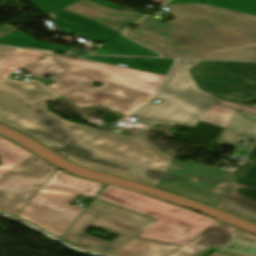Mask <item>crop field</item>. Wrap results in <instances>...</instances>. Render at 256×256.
<instances>
[{
	"mask_svg": "<svg viewBox=\"0 0 256 256\" xmlns=\"http://www.w3.org/2000/svg\"><path fill=\"white\" fill-rule=\"evenodd\" d=\"M62 97L34 79L0 83V122L89 169L156 186L174 159L147 140L146 130L111 134L60 119L45 102Z\"/></svg>",
	"mask_w": 256,
	"mask_h": 256,
	"instance_id": "8a807250",
	"label": "crop field"
},
{
	"mask_svg": "<svg viewBox=\"0 0 256 256\" xmlns=\"http://www.w3.org/2000/svg\"><path fill=\"white\" fill-rule=\"evenodd\" d=\"M180 14L148 16L124 35L168 57L256 60V16L202 4L165 5Z\"/></svg>",
	"mask_w": 256,
	"mask_h": 256,
	"instance_id": "ac0d7876",
	"label": "crop field"
},
{
	"mask_svg": "<svg viewBox=\"0 0 256 256\" xmlns=\"http://www.w3.org/2000/svg\"><path fill=\"white\" fill-rule=\"evenodd\" d=\"M52 55L67 72L55 76V83L48 86L77 107L103 105L128 116L154 98L165 78L155 73ZM92 82L104 85L98 88Z\"/></svg>",
	"mask_w": 256,
	"mask_h": 256,
	"instance_id": "34b2d1b8",
	"label": "crop field"
},
{
	"mask_svg": "<svg viewBox=\"0 0 256 256\" xmlns=\"http://www.w3.org/2000/svg\"><path fill=\"white\" fill-rule=\"evenodd\" d=\"M103 185L58 170L38 190L18 217L60 237L83 209L70 203L78 194L95 196Z\"/></svg>",
	"mask_w": 256,
	"mask_h": 256,
	"instance_id": "412701ff",
	"label": "crop field"
},
{
	"mask_svg": "<svg viewBox=\"0 0 256 256\" xmlns=\"http://www.w3.org/2000/svg\"><path fill=\"white\" fill-rule=\"evenodd\" d=\"M158 220L116 204L94 199L62 239L78 248L110 255ZM90 226L119 237L111 243L92 238L84 234Z\"/></svg>",
	"mask_w": 256,
	"mask_h": 256,
	"instance_id": "f4fd0767",
	"label": "crop field"
},
{
	"mask_svg": "<svg viewBox=\"0 0 256 256\" xmlns=\"http://www.w3.org/2000/svg\"><path fill=\"white\" fill-rule=\"evenodd\" d=\"M197 62H176L157 97L160 102L149 104L132 117L148 123L194 127L202 112L220 102L219 99L198 90L192 82L186 70Z\"/></svg>",
	"mask_w": 256,
	"mask_h": 256,
	"instance_id": "dd49c442",
	"label": "crop field"
},
{
	"mask_svg": "<svg viewBox=\"0 0 256 256\" xmlns=\"http://www.w3.org/2000/svg\"><path fill=\"white\" fill-rule=\"evenodd\" d=\"M98 198L161 219L139 234L141 237L184 244L214 222L194 212L116 187L108 186Z\"/></svg>",
	"mask_w": 256,
	"mask_h": 256,
	"instance_id": "e52e79f7",
	"label": "crop field"
},
{
	"mask_svg": "<svg viewBox=\"0 0 256 256\" xmlns=\"http://www.w3.org/2000/svg\"><path fill=\"white\" fill-rule=\"evenodd\" d=\"M40 11L50 15L53 22L60 28L62 34L68 33L80 36L89 41L102 40L106 42L105 51L98 50V54H117L131 56H159L158 54L140 46L139 44L120 36L106 26L94 22L62 9L81 0H28ZM97 4L121 10L122 7L103 0H89Z\"/></svg>",
	"mask_w": 256,
	"mask_h": 256,
	"instance_id": "d8731c3e",
	"label": "crop field"
},
{
	"mask_svg": "<svg viewBox=\"0 0 256 256\" xmlns=\"http://www.w3.org/2000/svg\"><path fill=\"white\" fill-rule=\"evenodd\" d=\"M187 71L197 88L223 101H256V63L200 61Z\"/></svg>",
	"mask_w": 256,
	"mask_h": 256,
	"instance_id": "5a996713",
	"label": "crop field"
},
{
	"mask_svg": "<svg viewBox=\"0 0 256 256\" xmlns=\"http://www.w3.org/2000/svg\"><path fill=\"white\" fill-rule=\"evenodd\" d=\"M235 171L236 168L227 171L199 165L192 161H186L183 164L175 159L158 188L176 192L215 207Z\"/></svg>",
	"mask_w": 256,
	"mask_h": 256,
	"instance_id": "3316defc",
	"label": "crop field"
},
{
	"mask_svg": "<svg viewBox=\"0 0 256 256\" xmlns=\"http://www.w3.org/2000/svg\"><path fill=\"white\" fill-rule=\"evenodd\" d=\"M56 169L29 157L0 180V211L17 216Z\"/></svg>",
	"mask_w": 256,
	"mask_h": 256,
	"instance_id": "28ad6ade",
	"label": "crop field"
},
{
	"mask_svg": "<svg viewBox=\"0 0 256 256\" xmlns=\"http://www.w3.org/2000/svg\"><path fill=\"white\" fill-rule=\"evenodd\" d=\"M216 208L256 223V145L233 177Z\"/></svg>",
	"mask_w": 256,
	"mask_h": 256,
	"instance_id": "d1516ede",
	"label": "crop field"
},
{
	"mask_svg": "<svg viewBox=\"0 0 256 256\" xmlns=\"http://www.w3.org/2000/svg\"><path fill=\"white\" fill-rule=\"evenodd\" d=\"M239 232L241 230L217 221L169 256H196L211 245L216 247L223 246L229 240L236 237Z\"/></svg>",
	"mask_w": 256,
	"mask_h": 256,
	"instance_id": "22f410ed",
	"label": "crop field"
},
{
	"mask_svg": "<svg viewBox=\"0 0 256 256\" xmlns=\"http://www.w3.org/2000/svg\"><path fill=\"white\" fill-rule=\"evenodd\" d=\"M65 10H68L70 12H73L75 14H78L80 16L86 17L91 20L98 21L102 23V21L107 22L108 24H104L118 32H122L123 30L119 31L117 30L120 25L124 22H132L135 23L139 19H141L144 15L133 11V12H127V11H115L100 5H97L95 3L89 2L87 0H83L75 5H72Z\"/></svg>",
	"mask_w": 256,
	"mask_h": 256,
	"instance_id": "cbeb9de0",
	"label": "crop field"
},
{
	"mask_svg": "<svg viewBox=\"0 0 256 256\" xmlns=\"http://www.w3.org/2000/svg\"><path fill=\"white\" fill-rule=\"evenodd\" d=\"M242 136L256 138V116L237 110L218 143L249 151L251 146H237Z\"/></svg>",
	"mask_w": 256,
	"mask_h": 256,
	"instance_id": "5142ce71",
	"label": "crop field"
},
{
	"mask_svg": "<svg viewBox=\"0 0 256 256\" xmlns=\"http://www.w3.org/2000/svg\"><path fill=\"white\" fill-rule=\"evenodd\" d=\"M179 244L135 237L133 240L115 251L112 256H166Z\"/></svg>",
	"mask_w": 256,
	"mask_h": 256,
	"instance_id": "d9b57169",
	"label": "crop field"
},
{
	"mask_svg": "<svg viewBox=\"0 0 256 256\" xmlns=\"http://www.w3.org/2000/svg\"><path fill=\"white\" fill-rule=\"evenodd\" d=\"M88 60L98 61L102 63L114 64L118 63L128 64L127 67L155 72L167 75L173 59H149V58H127V57H100V56H89Z\"/></svg>",
	"mask_w": 256,
	"mask_h": 256,
	"instance_id": "733c2abd",
	"label": "crop field"
},
{
	"mask_svg": "<svg viewBox=\"0 0 256 256\" xmlns=\"http://www.w3.org/2000/svg\"><path fill=\"white\" fill-rule=\"evenodd\" d=\"M47 53L16 49L0 59V82L5 80L11 72L22 69Z\"/></svg>",
	"mask_w": 256,
	"mask_h": 256,
	"instance_id": "4a817a6b",
	"label": "crop field"
},
{
	"mask_svg": "<svg viewBox=\"0 0 256 256\" xmlns=\"http://www.w3.org/2000/svg\"><path fill=\"white\" fill-rule=\"evenodd\" d=\"M210 256H256V237L242 232Z\"/></svg>",
	"mask_w": 256,
	"mask_h": 256,
	"instance_id": "bc2a9ffb",
	"label": "crop field"
},
{
	"mask_svg": "<svg viewBox=\"0 0 256 256\" xmlns=\"http://www.w3.org/2000/svg\"><path fill=\"white\" fill-rule=\"evenodd\" d=\"M32 153L29 151L15 145L6 138L0 139V174L5 175L26 158H28Z\"/></svg>",
	"mask_w": 256,
	"mask_h": 256,
	"instance_id": "214f88e0",
	"label": "crop field"
},
{
	"mask_svg": "<svg viewBox=\"0 0 256 256\" xmlns=\"http://www.w3.org/2000/svg\"><path fill=\"white\" fill-rule=\"evenodd\" d=\"M0 44L26 47V48L44 49V50H51V51H59V52L69 51L65 47L36 41L33 39V37L21 31H15L7 36L0 38Z\"/></svg>",
	"mask_w": 256,
	"mask_h": 256,
	"instance_id": "92a150f3",
	"label": "crop field"
},
{
	"mask_svg": "<svg viewBox=\"0 0 256 256\" xmlns=\"http://www.w3.org/2000/svg\"><path fill=\"white\" fill-rule=\"evenodd\" d=\"M203 3L256 15V0H171L167 4Z\"/></svg>",
	"mask_w": 256,
	"mask_h": 256,
	"instance_id": "dafd665d",
	"label": "crop field"
},
{
	"mask_svg": "<svg viewBox=\"0 0 256 256\" xmlns=\"http://www.w3.org/2000/svg\"><path fill=\"white\" fill-rule=\"evenodd\" d=\"M235 111V109L221 105L213 106L208 111L201 114L199 121H205L207 123L226 128Z\"/></svg>",
	"mask_w": 256,
	"mask_h": 256,
	"instance_id": "00972430",
	"label": "crop field"
},
{
	"mask_svg": "<svg viewBox=\"0 0 256 256\" xmlns=\"http://www.w3.org/2000/svg\"><path fill=\"white\" fill-rule=\"evenodd\" d=\"M25 71L37 78L49 74L61 73L64 69L51 56H47L25 69Z\"/></svg>",
	"mask_w": 256,
	"mask_h": 256,
	"instance_id": "a9b5d70f",
	"label": "crop field"
},
{
	"mask_svg": "<svg viewBox=\"0 0 256 256\" xmlns=\"http://www.w3.org/2000/svg\"><path fill=\"white\" fill-rule=\"evenodd\" d=\"M1 30H0V37L12 32L15 30V28L11 27L10 25L8 24H5L3 26L0 27Z\"/></svg>",
	"mask_w": 256,
	"mask_h": 256,
	"instance_id": "4177f3b9",
	"label": "crop field"
},
{
	"mask_svg": "<svg viewBox=\"0 0 256 256\" xmlns=\"http://www.w3.org/2000/svg\"><path fill=\"white\" fill-rule=\"evenodd\" d=\"M238 110H241V111H244V112H247V113H251V114H255L256 115V109H253V108H248V107H244V106H239L238 107Z\"/></svg>",
	"mask_w": 256,
	"mask_h": 256,
	"instance_id": "730fd06b",
	"label": "crop field"
},
{
	"mask_svg": "<svg viewBox=\"0 0 256 256\" xmlns=\"http://www.w3.org/2000/svg\"><path fill=\"white\" fill-rule=\"evenodd\" d=\"M14 49L12 48H5V47H0V58L3 57L4 55L12 52Z\"/></svg>",
	"mask_w": 256,
	"mask_h": 256,
	"instance_id": "eef30255",
	"label": "crop field"
},
{
	"mask_svg": "<svg viewBox=\"0 0 256 256\" xmlns=\"http://www.w3.org/2000/svg\"><path fill=\"white\" fill-rule=\"evenodd\" d=\"M246 154H247L246 151L238 150V151H234L233 156L242 157V156H246Z\"/></svg>",
	"mask_w": 256,
	"mask_h": 256,
	"instance_id": "ae1a2a85",
	"label": "crop field"
},
{
	"mask_svg": "<svg viewBox=\"0 0 256 256\" xmlns=\"http://www.w3.org/2000/svg\"><path fill=\"white\" fill-rule=\"evenodd\" d=\"M220 104H223V105L235 108V109H237V107H238V105H236V104H231V103H227V102H223V101H221Z\"/></svg>",
	"mask_w": 256,
	"mask_h": 256,
	"instance_id": "d3111659",
	"label": "crop field"
},
{
	"mask_svg": "<svg viewBox=\"0 0 256 256\" xmlns=\"http://www.w3.org/2000/svg\"><path fill=\"white\" fill-rule=\"evenodd\" d=\"M154 2L158 3V4H163L164 2H166L167 0H153Z\"/></svg>",
	"mask_w": 256,
	"mask_h": 256,
	"instance_id": "750c4746",
	"label": "crop field"
},
{
	"mask_svg": "<svg viewBox=\"0 0 256 256\" xmlns=\"http://www.w3.org/2000/svg\"><path fill=\"white\" fill-rule=\"evenodd\" d=\"M70 53H90V52L71 51Z\"/></svg>",
	"mask_w": 256,
	"mask_h": 256,
	"instance_id": "bd1437ed",
	"label": "crop field"
},
{
	"mask_svg": "<svg viewBox=\"0 0 256 256\" xmlns=\"http://www.w3.org/2000/svg\"><path fill=\"white\" fill-rule=\"evenodd\" d=\"M2 177V175H0V178Z\"/></svg>",
	"mask_w": 256,
	"mask_h": 256,
	"instance_id": "1d83c4d3",
	"label": "crop field"
},
{
	"mask_svg": "<svg viewBox=\"0 0 256 256\" xmlns=\"http://www.w3.org/2000/svg\"><path fill=\"white\" fill-rule=\"evenodd\" d=\"M0 138H2V137H0Z\"/></svg>",
	"mask_w": 256,
	"mask_h": 256,
	"instance_id": "120bbe31",
	"label": "crop field"
}]
</instances>
